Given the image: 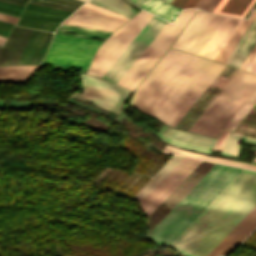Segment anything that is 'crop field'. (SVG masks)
I'll use <instances>...</instances> for the list:
<instances>
[{
	"instance_id": "crop-field-1",
	"label": "crop field",
	"mask_w": 256,
	"mask_h": 256,
	"mask_svg": "<svg viewBox=\"0 0 256 256\" xmlns=\"http://www.w3.org/2000/svg\"><path fill=\"white\" fill-rule=\"evenodd\" d=\"M223 67L170 48L137 87L130 105L174 127Z\"/></svg>"
},
{
	"instance_id": "crop-field-2",
	"label": "crop field",
	"mask_w": 256,
	"mask_h": 256,
	"mask_svg": "<svg viewBox=\"0 0 256 256\" xmlns=\"http://www.w3.org/2000/svg\"><path fill=\"white\" fill-rule=\"evenodd\" d=\"M255 205L256 172L243 170L170 246L206 256Z\"/></svg>"
},
{
	"instance_id": "crop-field-3",
	"label": "crop field",
	"mask_w": 256,
	"mask_h": 256,
	"mask_svg": "<svg viewBox=\"0 0 256 256\" xmlns=\"http://www.w3.org/2000/svg\"><path fill=\"white\" fill-rule=\"evenodd\" d=\"M241 171L216 164L146 238L169 246Z\"/></svg>"
},
{
	"instance_id": "crop-field-4",
	"label": "crop field",
	"mask_w": 256,
	"mask_h": 256,
	"mask_svg": "<svg viewBox=\"0 0 256 256\" xmlns=\"http://www.w3.org/2000/svg\"><path fill=\"white\" fill-rule=\"evenodd\" d=\"M255 90L256 76L239 70L189 130L217 137Z\"/></svg>"
},
{
	"instance_id": "crop-field-5",
	"label": "crop field",
	"mask_w": 256,
	"mask_h": 256,
	"mask_svg": "<svg viewBox=\"0 0 256 256\" xmlns=\"http://www.w3.org/2000/svg\"><path fill=\"white\" fill-rule=\"evenodd\" d=\"M151 16L152 14L141 11L109 36L98 48L87 74L101 77Z\"/></svg>"
},
{
	"instance_id": "crop-field-6",
	"label": "crop field",
	"mask_w": 256,
	"mask_h": 256,
	"mask_svg": "<svg viewBox=\"0 0 256 256\" xmlns=\"http://www.w3.org/2000/svg\"><path fill=\"white\" fill-rule=\"evenodd\" d=\"M101 40L56 34L43 61L85 68Z\"/></svg>"
},
{
	"instance_id": "crop-field-7",
	"label": "crop field",
	"mask_w": 256,
	"mask_h": 256,
	"mask_svg": "<svg viewBox=\"0 0 256 256\" xmlns=\"http://www.w3.org/2000/svg\"><path fill=\"white\" fill-rule=\"evenodd\" d=\"M166 23L167 21L153 15L102 78L116 83Z\"/></svg>"
},
{
	"instance_id": "crop-field-8",
	"label": "crop field",
	"mask_w": 256,
	"mask_h": 256,
	"mask_svg": "<svg viewBox=\"0 0 256 256\" xmlns=\"http://www.w3.org/2000/svg\"><path fill=\"white\" fill-rule=\"evenodd\" d=\"M81 83L85 87L83 94L74 93L71 96L94 105L119 112L124 100L131 93L115 84L96 77L81 74Z\"/></svg>"
},
{
	"instance_id": "crop-field-9",
	"label": "crop field",
	"mask_w": 256,
	"mask_h": 256,
	"mask_svg": "<svg viewBox=\"0 0 256 256\" xmlns=\"http://www.w3.org/2000/svg\"><path fill=\"white\" fill-rule=\"evenodd\" d=\"M200 162V160L184 157L140 203L144 214L149 216Z\"/></svg>"
},
{
	"instance_id": "crop-field-10",
	"label": "crop field",
	"mask_w": 256,
	"mask_h": 256,
	"mask_svg": "<svg viewBox=\"0 0 256 256\" xmlns=\"http://www.w3.org/2000/svg\"><path fill=\"white\" fill-rule=\"evenodd\" d=\"M29 5H27L25 8L26 9L43 11V12L54 13V14H59V15H64V16H67V15L71 14V13H69L71 11L63 12V11H58L59 9L58 10H53V9H47L48 7L47 8H41L42 6L41 7H35L36 5L35 6H29ZM0 8L16 11V12H20V13L23 10L22 6L9 4V3H5V2H1V1H0ZM4 9H0V10L20 15V13H16V12L4 10ZM26 9H24L23 11L31 12V13H37V14H43V15H52V16L65 18L64 16H59V15H54V14H49V13H43V12H37V11H32V10H26ZM25 12H22V13L23 14H28V15H33V16H38V17H44V18L59 20V21L64 20L62 18H57V17H52V16H43V15H37V14H31V13H25ZM19 19L20 20L31 21V22L42 23V24L51 25V26H55V27H58L59 24H60L59 22H54V21H49V20H44V19H39V18H34V17H28V16H23V15H21ZM20 20L17 21L16 25L38 28V29H44V30H50V31H55V29H56L55 27L46 26V25L37 24V23L26 22V21H20Z\"/></svg>"
},
{
	"instance_id": "crop-field-11",
	"label": "crop field",
	"mask_w": 256,
	"mask_h": 256,
	"mask_svg": "<svg viewBox=\"0 0 256 256\" xmlns=\"http://www.w3.org/2000/svg\"><path fill=\"white\" fill-rule=\"evenodd\" d=\"M162 140L168 141L171 144L177 145L179 147L203 151L209 153L214 144L215 139L178 130L172 129L170 127H162L159 135Z\"/></svg>"
},
{
	"instance_id": "crop-field-12",
	"label": "crop field",
	"mask_w": 256,
	"mask_h": 256,
	"mask_svg": "<svg viewBox=\"0 0 256 256\" xmlns=\"http://www.w3.org/2000/svg\"><path fill=\"white\" fill-rule=\"evenodd\" d=\"M246 217L256 221V206ZM255 226V222L244 217L207 256H216L230 252L243 241Z\"/></svg>"
},
{
	"instance_id": "crop-field-13",
	"label": "crop field",
	"mask_w": 256,
	"mask_h": 256,
	"mask_svg": "<svg viewBox=\"0 0 256 256\" xmlns=\"http://www.w3.org/2000/svg\"><path fill=\"white\" fill-rule=\"evenodd\" d=\"M63 23L113 31L124 21L81 7Z\"/></svg>"
},
{
	"instance_id": "crop-field-14",
	"label": "crop field",
	"mask_w": 256,
	"mask_h": 256,
	"mask_svg": "<svg viewBox=\"0 0 256 256\" xmlns=\"http://www.w3.org/2000/svg\"><path fill=\"white\" fill-rule=\"evenodd\" d=\"M196 9H190L188 13L183 17V19L177 24V26L171 31V33L166 37V39L160 44V46L155 50V52L149 57V59L144 63V65L138 70V72L132 77V79L127 83L125 88L133 90L135 86L141 81V79L147 74V72L154 66V64L160 59V57L166 52L170 47L174 39L177 37L181 29L187 23L189 18L195 12Z\"/></svg>"
},
{
	"instance_id": "crop-field-15",
	"label": "crop field",
	"mask_w": 256,
	"mask_h": 256,
	"mask_svg": "<svg viewBox=\"0 0 256 256\" xmlns=\"http://www.w3.org/2000/svg\"><path fill=\"white\" fill-rule=\"evenodd\" d=\"M240 21V18L225 16L202 51L199 53V56L213 60Z\"/></svg>"
},
{
	"instance_id": "crop-field-16",
	"label": "crop field",
	"mask_w": 256,
	"mask_h": 256,
	"mask_svg": "<svg viewBox=\"0 0 256 256\" xmlns=\"http://www.w3.org/2000/svg\"><path fill=\"white\" fill-rule=\"evenodd\" d=\"M189 9L182 10L179 16L176 18L173 24L167 23L166 26L160 31V33L154 38V40L148 45L143 53L137 58V60L131 65V67L125 72V74L117 82L120 86L124 87L131 77L137 72V70L143 65L148 57L154 52L159 44L165 39L170 31L176 26V24L182 19Z\"/></svg>"
},
{
	"instance_id": "crop-field-17",
	"label": "crop field",
	"mask_w": 256,
	"mask_h": 256,
	"mask_svg": "<svg viewBox=\"0 0 256 256\" xmlns=\"http://www.w3.org/2000/svg\"><path fill=\"white\" fill-rule=\"evenodd\" d=\"M32 29L15 26L0 53V64H15Z\"/></svg>"
},
{
	"instance_id": "crop-field-18",
	"label": "crop field",
	"mask_w": 256,
	"mask_h": 256,
	"mask_svg": "<svg viewBox=\"0 0 256 256\" xmlns=\"http://www.w3.org/2000/svg\"><path fill=\"white\" fill-rule=\"evenodd\" d=\"M212 16L213 14L197 10L172 47L187 51Z\"/></svg>"
},
{
	"instance_id": "crop-field-19",
	"label": "crop field",
	"mask_w": 256,
	"mask_h": 256,
	"mask_svg": "<svg viewBox=\"0 0 256 256\" xmlns=\"http://www.w3.org/2000/svg\"><path fill=\"white\" fill-rule=\"evenodd\" d=\"M38 65L0 66V81L26 82Z\"/></svg>"
},
{
	"instance_id": "crop-field-20",
	"label": "crop field",
	"mask_w": 256,
	"mask_h": 256,
	"mask_svg": "<svg viewBox=\"0 0 256 256\" xmlns=\"http://www.w3.org/2000/svg\"><path fill=\"white\" fill-rule=\"evenodd\" d=\"M255 0H221L214 13L243 18Z\"/></svg>"
},
{
	"instance_id": "crop-field-21",
	"label": "crop field",
	"mask_w": 256,
	"mask_h": 256,
	"mask_svg": "<svg viewBox=\"0 0 256 256\" xmlns=\"http://www.w3.org/2000/svg\"><path fill=\"white\" fill-rule=\"evenodd\" d=\"M35 32H36V30L34 29L33 32H32V34H31V36H30V38H29V40H28V42H27V44H26V46H25V48H24V50H23V52H22V54H21V56H20V58H19V60H18V62H17V64L20 63V61H21V59H22V57H23V55H24V53H25L27 47L29 46V44H30V42H31V40H32V38H33V36H34V34H35ZM37 32H38V30H37ZM37 32H36V34H37ZM47 33H48V32H45V34H44V32L39 31V33H38V35H37V37H36V39H35V41H34L32 47H37L38 44H39V42H40V40H41V38H42V36H43V34H44V36H43V38H42V40H41V42H40V44H39V46H38V49H37V51H36V53H35V55H34L32 61H31V63H33V61H34V59H35V57H36V55H37V53H38V51H39V49H40L42 43H43V41H44V39H45V37H46V35H47ZM36 34H35V36H36ZM48 35H49V33H48ZM48 35H47V37H48ZM52 35H53V33L50 34V36H49V38H48V40H47V42H46V44H45L43 50L41 51V49H42V47H43V45H44V43H45V41H46V39H47V37H46V39H45V41H44V43H43V45H42V47H41V49H40L41 53H40V51H39L40 55H39V53H38L39 57H38V55H37L38 59H37V57H36L37 61H36V59H35L36 63H39L40 60L43 58V56H44V54H45V52H46V50H47V47H48V45H49V42H50V40H51ZM35 36H34V38H35ZM34 38H33V40H34ZM33 40H32V42H33ZM32 42H31V44H32ZM31 44H30V46L28 47V49H27V51H26V53H25V55H24V57H23V59H22V61H21L20 64L23 63V61H24V59H25V57H26V55H27V53H28V51H29V49H30V47H31ZM35 50H36V48H31V49H30V51H29V53H28V56H27V58H26L24 64L30 62V60H31V58H32V56H33ZM35 61H34V63H35Z\"/></svg>"
},
{
	"instance_id": "crop-field-22",
	"label": "crop field",
	"mask_w": 256,
	"mask_h": 256,
	"mask_svg": "<svg viewBox=\"0 0 256 256\" xmlns=\"http://www.w3.org/2000/svg\"><path fill=\"white\" fill-rule=\"evenodd\" d=\"M256 17V11H253L249 20L242 19V21L239 23L237 28L234 30L232 35L229 37L227 42L224 44L222 49L219 51L217 56L214 58V61H218L223 63L224 60L227 58V56L230 54V52L233 50L237 42L242 37L243 33L247 29V27L250 25V23L253 21V19Z\"/></svg>"
},
{
	"instance_id": "crop-field-23",
	"label": "crop field",
	"mask_w": 256,
	"mask_h": 256,
	"mask_svg": "<svg viewBox=\"0 0 256 256\" xmlns=\"http://www.w3.org/2000/svg\"><path fill=\"white\" fill-rule=\"evenodd\" d=\"M140 7L144 8V9L170 21V22L176 15V13L179 11V8L172 6V5H170L166 2H163L161 0H149L146 3H144L143 5H141Z\"/></svg>"
},
{
	"instance_id": "crop-field-24",
	"label": "crop field",
	"mask_w": 256,
	"mask_h": 256,
	"mask_svg": "<svg viewBox=\"0 0 256 256\" xmlns=\"http://www.w3.org/2000/svg\"><path fill=\"white\" fill-rule=\"evenodd\" d=\"M224 18L222 15L215 14L192 46L189 48L188 52L198 55L200 50L203 48L207 40L210 38L214 30L217 28L221 20Z\"/></svg>"
},
{
	"instance_id": "crop-field-25",
	"label": "crop field",
	"mask_w": 256,
	"mask_h": 256,
	"mask_svg": "<svg viewBox=\"0 0 256 256\" xmlns=\"http://www.w3.org/2000/svg\"><path fill=\"white\" fill-rule=\"evenodd\" d=\"M182 158L174 156L133 199L140 202Z\"/></svg>"
},
{
	"instance_id": "crop-field-26",
	"label": "crop field",
	"mask_w": 256,
	"mask_h": 256,
	"mask_svg": "<svg viewBox=\"0 0 256 256\" xmlns=\"http://www.w3.org/2000/svg\"><path fill=\"white\" fill-rule=\"evenodd\" d=\"M256 43V26L253 28V30L250 32L246 40L243 42L239 50L236 52V54L232 57V59L229 61L228 65L234 66L239 68V66L242 64L244 59L246 58L247 54L253 47V45Z\"/></svg>"
},
{
	"instance_id": "crop-field-27",
	"label": "crop field",
	"mask_w": 256,
	"mask_h": 256,
	"mask_svg": "<svg viewBox=\"0 0 256 256\" xmlns=\"http://www.w3.org/2000/svg\"><path fill=\"white\" fill-rule=\"evenodd\" d=\"M164 151L256 170V166H254V165L243 164V163H238V162H233V161H227V160L217 159V158H213V157H208V156H204V155H200V154H196V153L183 151V150L173 148V147H170V146H167V145L165 146Z\"/></svg>"
},
{
	"instance_id": "crop-field-28",
	"label": "crop field",
	"mask_w": 256,
	"mask_h": 256,
	"mask_svg": "<svg viewBox=\"0 0 256 256\" xmlns=\"http://www.w3.org/2000/svg\"><path fill=\"white\" fill-rule=\"evenodd\" d=\"M60 28H68L69 30H62L59 29L58 31H66V32H77L79 34H71V33H61L57 32L59 34H67V35H74V36H82V37H90V38H100L105 39L109 34V32H103V31H97V30H90V29H84V28H77V27H71V26H65L61 25Z\"/></svg>"
},
{
	"instance_id": "crop-field-29",
	"label": "crop field",
	"mask_w": 256,
	"mask_h": 256,
	"mask_svg": "<svg viewBox=\"0 0 256 256\" xmlns=\"http://www.w3.org/2000/svg\"><path fill=\"white\" fill-rule=\"evenodd\" d=\"M60 1L77 6V7H79L81 4L84 3L79 0H60ZM60 1L41 0L40 2H38V1L30 0L29 3L36 4V5H42V6H48V7H56V8H61V9H66V10H71V11H74L75 9H77V7L62 3Z\"/></svg>"
},
{
	"instance_id": "crop-field-30",
	"label": "crop field",
	"mask_w": 256,
	"mask_h": 256,
	"mask_svg": "<svg viewBox=\"0 0 256 256\" xmlns=\"http://www.w3.org/2000/svg\"><path fill=\"white\" fill-rule=\"evenodd\" d=\"M91 2L100 4L102 6L120 11L122 13L128 14V15H133L134 13L138 12L132 7L128 6L121 0H91Z\"/></svg>"
},
{
	"instance_id": "crop-field-31",
	"label": "crop field",
	"mask_w": 256,
	"mask_h": 256,
	"mask_svg": "<svg viewBox=\"0 0 256 256\" xmlns=\"http://www.w3.org/2000/svg\"><path fill=\"white\" fill-rule=\"evenodd\" d=\"M256 103V91L247 100V102L242 106V108L236 113V115L231 119V121L224 128L225 130L232 131L234 127L239 123V121L244 117V115L249 111V109Z\"/></svg>"
},
{
	"instance_id": "crop-field-32",
	"label": "crop field",
	"mask_w": 256,
	"mask_h": 256,
	"mask_svg": "<svg viewBox=\"0 0 256 256\" xmlns=\"http://www.w3.org/2000/svg\"><path fill=\"white\" fill-rule=\"evenodd\" d=\"M239 143H240L239 138L228 136L224 143L221 153L237 157Z\"/></svg>"
},
{
	"instance_id": "crop-field-33",
	"label": "crop field",
	"mask_w": 256,
	"mask_h": 256,
	"mask_svg": "<svg viewBox=\"0 0 256 256\" xmlns=\"http://www.w3.org/2000/svg\"><path fill=\"white\" fill-rule=\"evenodd\" d=\"M199 0H172L171 4L179 8L195 7Z\"/></svg>"
},
{
	"instance_id": "crop-field-34",
	"label": "crop field",
	"mask_w": 256,
	"mask_h": 256,
	"mask_svg": "<svg viewBox=\"0 0 256 256\" xmlns=\"http://www.w3.org/2000/svg\"><path fill=\"white\" fill-rule=\"evenodd\" d=\"M83 7H86V8H89V9H92V10H95V11H98V12H101V13H104V14H106V15H109V16H112V17H115V18H118V19H121V20H124V21L128 20V18H125V17H123V16H120V15H117V14H115V13L109 12V11H107V10H104V9H102V8H99V7H96V6L91 5V4H89V3L85 4Z\"/></svg>"
},
{
	"instance_id": "crop-field-35",
	"label": "crop field",
	"mask_w": 256,
	"mask_h": 256,
	"mask_svg": "<svg viewBox=\"0 0 256 256\" xmlns=\"http://www.w3.org/2000/svg\"><path fill=\"white\" fill-rule=\"evenodd\" d=\"M226 132L225 130H222V132L220 133V135L218 136L214 146H213V149H217V150H221L222 148V145L224 143V139H225V136H226Z\"/></svg>"
},
{
	"instance_id": "crop-field-36",
	"label": "crop field",
	"mask_w": 256,
	"mask_h": 256,
	"mask_svg": "<svg viewBox=\"0 0 256 256\" xmlns=\"http://www.w3.org/2000/svg\"><path fill=\"white\" fill-rule=\"evenodd\" d=\"M12 26H13V24H9V23L0 21V28H2V29H6V30H9V31H10L11 28H12ZM2 29H0V35L7 37L9 31L2 30Z\"/></svg>"
},
{
	"instance_id": "crop-field-37",
	"label": "crop field",
	"mask_w": 256,
	"mask_h": 256,
	"mask_svg": "<svg viewBox=\"0 0 256 256\" xmlns=\"http://www.w3.org/2000/svg\"><path fill=\"white\" fill-rule=\"evenodd\" d=\"M256 24V19L255 21L252 23V25L250 26V28L247 30V32L245 33V35L242 37V39L240 40V42L238 43V45L236 46V48L232 51V53L229 55V57L225 60V64L228 63V61L231 59V57L234 55V53L237 51L239 45L241 44V42L245 39V37L247 36V34L250 32L251 28Z\"/></svg>"
},
{
	"instance_id": "crop-field-38",
	"label": "crop field",
	"mask_w": 256,
	"mask_h": 256,
	"mask_svg": "<svg viewBox=\"0 0 256 256\" xmlns=\"http://www.w3.org/2000/svg\"><path fill=\"white\" fill-rule=\"evenodd\" d=\"M229 135L243 138L242 142L256 145V138H251V137L243 136V135L232 133V132H229Z\"/></svg>"
},
{
	"instance_id": "crop-field-39",
	"label": "crop field",
	"mask_w": 256,
	"mask_h": 256,
	"mask_svg": "<svg viewBox=\"0 0 256 256\" xmlns=\"http://www.w3.org/2000/svg\"><path fill=\"white\" fill-rule=\"evenodd\" d=\"M245 71L252 72L256 74V54L253 59L250 61L248 66L245 68Z\"/></svg>"
},
{
	"instance_id": "crop-field-40",
	"label": "crop field",
	"mask_w": 256,
	"mask_h": 256,
	"mask_svg": "<svg viewBox=\"0 0 256 256\" xmlns=\"http://www.w3.org/2000/svg\"><path fill=\"white\" fill-rule=\"evenodd\" d=\"M18 17L0 13V20L15 24Z\"/></svg>"
},
{
	"instance_id": "crop-field-41",
	"label": "crop field",
	"mask_w": 256,
	"mask_h": 256,
	"mask_svg": "<svg viewBox=\"0 0 256 256\" xmlns=\"http://www.w3.org/2000/svg\"><path fill=\"white\" fill-rule=\"evenodd\" d=\"M256 53V45L253 48V50L250 52V54L248 55V57L245 59L244 63L241 65L240 69L244 70V68L247 66V64L249 63V61L252 59V57L254 56V54Z\"/></svg>"
},
{
	"instance_id": "crop-field-42",
	"label": "crop field",
	"mask_w": 256,
	"mask_h": 256,
	"mask_svg": "<svg viewBox=\"0 0 256 256\" xmlns=\"http://www.w3.org/2000/svg\"><path fill=\"white\" fill-rule=\"evenodd\" d=\"M210 2L211 0H200L199 3L196 5V8L205 10Z\"/></svg>"
},
{
	"instance_id": "crop-field-43",
	"label": "crop field",
	"mask_w": 256,
	"mask_h": 256,
	"mask_svg": "<svg viewBox=\"0 0 256 256\" xmlns=\"http://www.w3.org/2000/svg\"><path fill=\"white\" fill-rule=\"evenodd\" d=\"M220 0H212V2L209 4V6L206 8V11L212 12V10L215 8V6L218 4Z\"/></svg>"
},
{
	"instance_id": "crop-field-44",
	"label": "crop field",
	"mask_w": 256,
	"mask_h": 256,
	"mask_svg": "<svg viewBox=\"0 0 256 256\" xmlns=\"http://www.w3.org/2000/svg\"><path fill=\"white\" fill-rule=\"evenodd\" d=\"M133 1L136 5H141L142 3L146 2L147 0H131Z\"/></svg>"
},
{
	"instance_id": "crop-field-45",
	"label": "crop field",
	"mask_w": 256,
	"mask_h": 256,
	"mask_svg": "<svg viewBox=\"0 0 256 256\" xmlns=\"http://www.w3.org/2000/svg\"><path fill=\"white\" fill-rule=\"evenodd\" d=\"M8 1L16 2V3H20V4H24V5H26L25 3H28V0H17V1L25 2V3H21V2H17V1H13V0H8Z\"/></svg>"
},
{
	"instance_id": "crop-field-46",
	"label": "crop field",
	"mask_w": 256,
	"mask_h": 256,
	"mask_svg": "<svg viewBox=\"0 0 256 256\" xmlns=\"http://www.w3.org/2000/svg\"><path fill=\"white\" fill-rule=\"evenodd\" d=\"M5 39H6L5 37H1V36H0V45H3V44H4Z\"/></svg>"
},
{
	"instance_id": "crop-field-47",
	"label": "crop field",
	"mask_w": 256,
	"mask_h": 256,
	"mask_svg": "<svg viewBox=\"0 0 256 256\" xmlns=\"http://www.w3.org/2000/svg\"><path fill=\"white\" fill-rule=\"evenodd\" d=\"M89 3H91V2H89ZM91 4H93V3H91ZM94 5H96V4H94ZM97 6H99V5H97ZM99 7H101V6H99ZM102 8H104V7H102ZM104 9H106V8H104ZM107 10H109V9H107ZM111 11V10H110ZM112 12H114V11H112ZM116 13V12H115ZM119 14V13H118ZM120 15H122V14H120ZM124 16V15H123ZM127 17V16H126ZM129 18V17H128Z\"/></svg>"
},
{
	"instance_id": "crop-field-48",
	"label": "crop field",
	"mask_w": 256,
	"mask_h": 256,
	"mask_svg": "<svg viewBox=\"0 0 256 256\" xmlns=\"http://www.w3.org/2000/svg\"><path fill=\"white\" fill-rule=\"evenodd\" d=\"M0 12H2V13H6V14H10V15H14V16H18V17H19V15H15V14H11V13H7V12H3V11H0Z\"/></svg>"
},
{
	"instance_id": "crop-field-49",
	"label": "crop field",
	"mask_w": 256,
	"mask_h": 256,
	"mask_svg": "<svg viewBox=\"0 0 256 256\" xmlns=\"http://www.w3.org/2000/svg\"><path fill=\"white\" fill-rule=\"evenodd\" d=\"M81 1H84V2H86V1H88V0H81Z\"/></svg>"
},
{
	"instance_id": "crop-field-50",
	"label": "crop field",
	"mask_w": 256,
	"mask_h": 256,
	"mask_svg": "<svg viewBox=\"0 0 256 256\" xmlns=\"http://www.w3.org/2000/svg\"><path fill=\"white\" fill-rule=\"evenodd\" d=\"M252 150H256V147H255V148H252Z\"/></svg>"
},
{
	"instance_id": "crop-field-51",
	"label": "crop field",
	"mask_w": 256,
	"mask_h": 256,
	"mask_svg": "<svg viewBox=\"0 0 256 256\" xmlns=\"http://www.w3.org/2000/svg\"><path fill=\"white\" fill-rule=\"evenodd\" d=\"M2 1H4V0H2ZM6 2H8V1H6ZM16 4V3H15ZM20 5V4H19ZM22 6H24V5H22Z\"/></svg>"
},
{
	"instance_id": "crop-field-52",
	"label": "crop field",
	"mask_w": 256,
	"mask_h": 256,
	"mask_svg": "<svg viewBox=\"0 0 256 256\" xmlns=\"http://www.w3.org/2000/svg\"><path fill=\"white\" fill-rule=\"evenodd\" d=\"M252 164L256 165V163H255V162H253Z\"/></svg>"
},
{
	"instance_id": "crop-field-53",
	"label": "crop field",
	"mask_w": 256,
	"mask_h": 256,
	"mask_svg": "<svg viewBox=\"0 0 256 256\" xmlns=\"http://www.w3.org/2000/svg\"><path fill=\"white\" fill-rule=\"evenodd\" d=\"M170 1H171V0H167V2H169V3H170Z\"/></svg>"
},
{
	"instance_id": "crop-field-54",
	"label": "crop field",
	"mask_w": 256,
	"mask_h": 256,
	"mask_svg": "<svg viewBox=\"0 0 256 256\" xmlns=\"http://www.w3.org/2000/svg\"><path fill=\"white\" fill-rule=\"evenodd\" d=\"M255 156H256V152H254Z\"/></svg>"
},
{
	"instance_id": "crop-field-55",
	"label": "crop field",
	"mask_w": 256,
	"mask_h": 256,
	"mask_svg": "<svg viewBox=\"0 0 256 256\" xmlns=\"http://www.w3.org/2000/svg\"><path fill=\"white\" fill-rule=\"evenodd\" d=\"M2 47H0V51H1Z\"/></svg>"
},
{
	"instance_id": "crop-field-56",
	"label": "crop field",
	"mask_w": 256,
	"mask_h": 256,
	"mask_svg": "<svg viewBox=\"0 0 256 256\" xmlns=\"http://www.w3.org/2000/svg\"><path fill=\"white\" fill-rule=\"evenodd\" d=\"M254 161L256 162V159H254Z\"/></svg>"
},
{
	"instance_id": "crop-field-57",
	"label": "crop field",
	"mask_w": 256,
	"mask_h": 256,
	"mask_svg": "<svg viewBox=\"0 0 256 256\" xmlns=\"http://www.w3.org/2000/svg\"><path fill=\"white\" fill-rule=\"evenodd\" d=\"M255 9H256V7H255Z\"/></svg>"
},
{
	"instance_id": "crop-field-58",
	"label": "crop field",
	"mask_w": 256,
	"mask_h": 256,
	"mask_svg": "<svg viewBox=\"0 0 256 256\" xmlns=\"http://www.w3.org/2000/svg\"><path fill=\"white\" fill-rule=\"evenodd\" d=\"M166 1V0H165Z\"/></svg>"
},
{
	"instance_id": "crop-field-59",
	"label": "crop field",
	"mask_w": 256,
	"mask_h": 256,
	"mask_svg": "<svg viewBox=\"0 0 256 256\" xmlns=\"http://www.w3.org/2000/svg\"><path fill=\"white\" fill-rule=\"evenodd\" d=\"M39 1V0H38Z\"/></svg>"
}]
</instances>
